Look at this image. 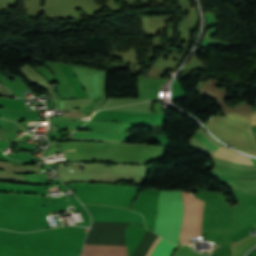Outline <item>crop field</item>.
I'll return each mask as SVG.
<instances>
[{"mask_svg": "<svg viewBox=\"0 0 256 256\" xmlns=\"http://www.w3.org/2000/svg\"><path fill=\"white\" fill-rule=\"evenodd\" d=\"M184 220L180 233L181 244H190V239L200 238L203 202L182 192Z\"/></svg>", "mask_w": 256, "mask_h": 256, "instance_id": "obj_1", "label": "crop field"}, {"mask_svg": "<svg viewBox=\"0 0 256 256\" xmlns=\"http://www.w3.org/2000/svg\"><path fill=\"white\" fill-rule=\"evenodd\" d=\"M211 175L238 191L256 197V178L230 177L214 173Z\"/></svg>", "mask_w": 256, "mask_h": 256, "instance_id": "obj_2", "label": "crop field"}, {"mask_svg": "<svg viewBox=\"0 0 256 256\" xmlns=\"http://www.w3.org/2000/svg\"><path fill=\"white\" fill-rule=\"evenodd\" d=\"M81 256H127L126 246L85 245Z\"/></svg>", "mask_w": 256, "mask_h": 256, "instance_id": "obj_3", "label": "crop field"}, {"mask_svg": "<svg viewBox=\"0 0 256 256\" xmlns=\"http://www.w3.org/2000/svg\"><path fill=\"white\" fill-rule=\"evenodd\" d=\"M211 155L219 157V158H223L232 162H237V163H243L246 164V162H250V159L244 155H241L239 153H236L234 151L228 150L224 147H220L218 148L214 153H212ZM249 164V163H247Z\"/></svg>", "mask_w": 256, "mask_h": 256, "instance_id": "obj_4", "label": "crop field"}, {"mask_svg": "<svg viewBox=\"0 0 256 256\" xmlns=\"http://www.w3.org/2000/svg\"><path fill=\"white\" fill-rule=\"evenodd\" d=\"M177 247L161 238L150 256H170Z\"/></svg>", "mask_w": 256, "mask_h": 256, "instance_id": "obj_5", "label": "crop field"}, {"mask_svg": "<svg viewBox=\"0 0 256 256\" xmlns=\"http://www.w3.org/2000/svg\"><path fill=\"white\" fill-rule=\"evenodd\" d=\"M61 108H64L63 100L60 101Z\"/></svg>", "mask_w": 256, "mask_h": 256, "instance_id": "obj_6", "label": "crop field"}, {"mask_svg": "<svg viewBox=\"0 0 256 256\" xmlns=\"http://www.w3.org/2000/svg\"><path fill=\"white\" fill-rule=\"evenodd\" d=\"M64 152H76V151H64Z\"/></svg>", "mask_w": 256, "mask_h": 256, "instance_id": "obj_7", "label": "crop field"}]
</instances>
